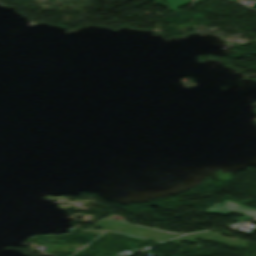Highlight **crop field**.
<instances>
[{
  "mask_svg": "<svg viewBox=\"0 0 256 256\" xmlns=\"http://www.w3.org/2000/svg\"><path fill=\"white\" fill-rule=\"evenodd\" d=\"M237 212L246 215L245 217L241 219H246L249 220L253 217H256V211L242 207L240 205L234 204L232 202H226L224 205L217 204L210 208L207 211H204L206 213H211V214H220V215H228L230 212Z\"/></svg>",
  "mask_w": 256,
  "mask_h": 256,
  "instance_id": "1",
  "label": "crop field"
},
{
  "mask_svg": "<svg viewBox=\"0 0 256 256\" xmlns=\"http://www.w3.org/2000/svg\"><path fill=\"white\" fill-rule=\"evenodd\" d=\"M171 4V10H178L179 7L186 5L191 2V0H164Z\"/></svg>",
  "mask_w": 256,
  "mask_h": 256,
  "instance_id": "2",
  "label": "crop field"
}]
</instances>
